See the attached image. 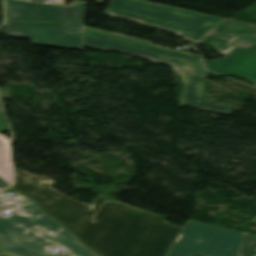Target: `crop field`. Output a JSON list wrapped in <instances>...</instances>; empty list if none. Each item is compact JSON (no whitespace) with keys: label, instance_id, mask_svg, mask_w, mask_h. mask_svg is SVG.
<instances>
[{"label":"crop field","instance_id":"1","mask_svg":"<svg viewBox=\"0 0 256 256\" xmlns=\"http://www.w3.org/2000/svg\"><path fill=\"white\" fill-rule=\"evenodd\" d=\"M18 191L38 201L99 256H166L182 227L166 217L108 202L101 195L88 206L53 189L54 180L14 169Z\"/></svg>","mask_w":256,"mask_h":256},{"label":"crop field","instance_id":"2","mask_svg":"<svg viewBox=\"0 0 256 256\" xmlns=\"http://www.w3.org/2000/svg\"><path fill=\"white\" fill-rule=\"evenodd\" d=\"M14 197L0 193V210L8 209L13 216L0 213V244L6 251L23 256H97L81 245L57 221L40 211L35 202L9 188ZM60 247V254L51 253Z\"/></svg>","mask_w":256,"mask_h":256},{"label":"crop field","instance_id":"3","mask_svg":"<svg viewBox=\"0 0 256 256\" xmlns=\"http://www.w3.org/2000/svg\"><path fill=\"white\" fill-rule=\"evenodd\" d=\"M82 44L102 51H118L145 58L152 62L172 66L185 82L183 106L202 108L212 112L228 114L231 109L202 98L204 80L207 77L201 60L195 54L174 51L152 45L149 41L104 32L84 26Z\"/></svg>","mask_w":256,"mask_h":256},{"label":"crop field","instance_id":"4","mask_svg":"<svg viewBox=\"0 0 256 256\" xmlns=\"http://www.w3.org/2000/svg\"><path fill=\"white\" fill-rule=\"evenodd\" d=\"M108 14L171 31L194 43L224 19L143 0H114Z\"/></svg>","mask_w":256,"mask_h":256},{"label":"crop field","instance_id":"5","mask_svg":"<svg viewBox=\"0 0 256 256\" xmlns=\"http://www.w3.org/2000/svg\"><path fill=\"white\" fill-rule=\"evenodd\" d=\"M244 233L187 221L167 256H238Z\"/></svg>","mask_w":256,"mask_h":256},{"label":"crop field","instance_id":"6","mask_svg":"<svg viewBox=\"0 0 256 256\" xmlns=\"http://www.w3.org/2000/svg\"><path fill=\"white\" fill-rule=\"evenodd\" d=\"M5 2L7 20L66 21L68 33L82 32L85 2L69 7L22 0H5Z\"/></svg>","mask_w":256,"mask_h":256},{"label":"crop field","instance_id":"7","mask_svg":"<svg viewBox=\"0 0 256 256\" xmlns=\"http://www.w3.org/2000/svg\"><path fill=\"white\" fill-rule=\"evenodd\" d=\"M6 35L32 39V44L82 49V34H66L65 23H5Z\"/></svg>","mask_w":256,"mask_h":256},{"label":"crop field","instance_id":"8","mask_svg":"<svg viewBox=\"0 0 256 256\" xmlns=\"http://www.w3.org/2000/svg\"><path fill=\"white\" fill-rule=\"evenodd\" d=\"M209 70L223 75H235L256 83V43L249 48H234L223 59L207 61Z\"/></svg>","mask_w":256,"mask_h":256},{"label":"crop field","instance_id":"9","mask_svg":"<svg viewBox=\"0 0 256 256\" xmlns=\"http://www.w3.org/2000/svg\"><path fill=\"white\" fill-rule=\"evenodd\" d=\"M236 38L237 37L220 36L208 33L196 43L212 47L214 51L220 53L222 56H225L229 51L234 48V46L230 45V43Z\"/></svg>","mask_w":256,"mask_h":256},{"label":"crop field","instance_id":"10","mask_svg":"<svg viewBox=\"0 0 256 256\" xmlns=\"http://www.w3.org/2000/svg\"><path fill=\"white\" fill-rule=\"evenodd\" d=\"M211 32L224 35L256 36V27L225 20Z\"/></svg>","mask_w":256,"mask_h":256},{"label":"crop field","instance_id":"11","mask_svg":"<svg viewBox=\"0 0 256 256\" xmlns=\"http://www.w3.org/2000/svg\"><path fill=\"white\" fill-rule=\"evenodd\" d=\"M0 177L11 185L9 141L0 136Z\"/></svg>","mask_w":256,"mask_h":256},{"label":"crop field","instance_id":"12","mask_svg":"<svg viewBox=\"0 0 256 256\" xmlns=\"http://www.w3.org/2000/svg\"><path fill=\"white\" fill-rule=\"evenodd\" d=\"M239 256H256V236L245 234Z\"/></svg>","mask_w":256,"mask_h":256},{"label":"crop field","instance_id":"13","mask_svg":"<svg viewBox=\"0 0 256 256\" xmlns=\"http://www.w3.org/2000/svg\"><path fill=\"white\" fill-rule=\"evenodd\" d=\"M235 42H256V37H239Z\"/></svg>","mask_w":256,"mask_h":256},{"label":"crop field","instance_id":"14","mask_svg":"<svg viewBox=\"0 0 256 256\" xmlns=\"http://www.w3.org/2000/svg\"><path fill=\"white\" fill-rule=\"evenodd\" d=\"M0 256H15V255L6 253V252H4V251H2V250L0 249Z\"/></svg>","mask_w":256,"mask_h":256},{"label":"crop field","instance_id":"15","mask_svg":"<svg viewBox=\"0 0 256 256\" xmlns=\"http://www.w3.org/2000/svg\"><path fill=\"white\" fill-rule=\"evenodd\" d=\"M1 112V110H0ZM8 185L6 183H4L1 179H0V190L7 187Z\"/></svg>","mask_w":256,"mask_h":256}]
</instances>
